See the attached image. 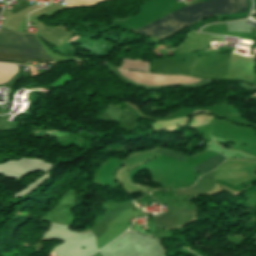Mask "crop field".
Segmentation results:
<instances>
[{
  "mask_svg": "<svg viewBox=\"0 0 256 256\" xmlns=\"http://www.w3.org/2000/svg\"><path fill=\"white\" fill-rule=\"evenodd\" d=\"M247 0H209L182 8L136 32L162 38L201 18L222 13H246Z\"/></svg>",
  "mask_w": 256,
  "mask_h": 256,
  "instance_id": "1",
  "label": "crop field"
},
{
  "mask_svg": "<svg viewBox=\"0 0 256 256\" xmlns=\"http://www.w3.org/2000/svg\"><path fill=\"white\" fill-rule=\"evenodd\" d=\"M98 1H102V0H66V6L68 7L84 6V5L92 4Z\"/></svg>",
  "mask_w": 256,
  "mask_h": 256,
  "instance_id": "7",
  "label": "crop field"
},
{
  "mask_svg": "<svg viewBox=\"0 0 256 256\" xmlns=\"http://www.w3.org/2000/svg\"><path fill=\"white\" fill-rule=\"evenodd\" d=\"M194 210H185L176 207H169V212L163 216L155 217L156 224L163 229L174 228L190 221Z\"/></svg>",
  "mask_w": 256,
  "mask_h": 256,
  "instance_id": "3",
  "label": "crop field"
},
{
  "mask_svg": "<svg viewBox=\"0 0 256 256\" xmlns=\"http://www.w3.org/2000/svg\"><path fill=\"white\" fill-rule=\"evenodd\" d=\"M254 85H256V81H255V84Z\"/></svg>",
  "mask_w": 256,
  "mask_h": 256,
  "instance_id": "8",
  "label": "crop field"
},
{
  "mask_svg": "<svg viewBox=\"0 0 256 256\" xmlns=\"http://www.w3.org/2000/svg\"><path fill=\"white\" fill-rule=\"evenodd\" d=\"M226 158L217 155L210 158L209 160L203 162L202 164L195 167L193 170L195 172H202L204 174L214 170L218 165H220Z\"/></svg>",
  "mask_w": 256,
  "mask_h": 256,
  "instance_id": "5",
  "label": "crop field"
},
{
  "mask_svg": "<svg viewBox=\"0 0 256 256\" xmlns=\"http://www.w3.org/2000/svg\"><path fill=\"white\" fill-rule=\"evenodd\" d=\"M214 187L213 182V172L200 177L197 184L191 188L184 189V190H176V196H185L197 193H205L210 191Z\"/></svg>",
  "mask_w": 256,
  "mask_h": 256,
  "instance_id": "4",
  "label": "crop field"
},
{
  "mask_svg": "<svg viewBox=\"0 0 256 256\" xmlns=\"http://www.w3.org/2000/svg\"><path fill=\"white\" fill-rule=\"evenodd\" d=\"M0 51L26 53L48 57L35 35L0 30ZM0 52V61L24 65L28 60L37 59L38 64L53 62L50 58H43L25 54Z\"/></svg>",
  "mask_w": 256,
  "mask_h": 256,
  "instance_id": "2",
  "label": "crop field"
},
{
  "mask_svg": "<svg viewBox=\"0 0 256 256\" xmlns=\"http://www.w3.org/2000/svg\"><path fill=\"white\" fill-rule=\"evenodd\" d=\"M157 153H161L163 155H166V156H169V157H173V158H176V159H179V160H182L184 161L185 157L183 154L177 152V151H172V150H167V149H158L156 151Z\"/></svg>",
  "mask_w": 256,
  "mask_h": 256,
  "instance_id": "6",
  "label": "crop field"
}]
</instances>
